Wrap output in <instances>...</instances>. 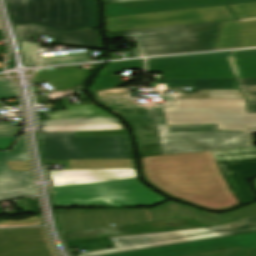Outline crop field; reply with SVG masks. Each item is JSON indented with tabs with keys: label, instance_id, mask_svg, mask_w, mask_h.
<instances>
[{
	"label": "crop field",
	"instance_id": "obj_1",
	"mask_svg": "<svg viewBox=\"0 0 256 256\" xmlns=\"http://www.w3.org/2000/svg\"><path fill=\"white\" fill-rule=\"evenodd\" d=\"M161 83L192 90L163 95L165 103L143 105H134L123 88L93 93L129 120L141 156L253 146L256 78L159 80L148 87Z\"/></svg>",
	"mask_w": 256,
	"mask_h": 256
},
{
	"label": "crop field",
	"instance_id": "obj_2",
	"mask_svg": "<svg viewBox=\"0 0 256 256\" xmlns=\"http://www.w3.org/2000/svg\"><path fill=\"white\" fill-rule=\"evenodd\" d=\"M217 164L210 151L142 157L143 174L155 187L175 198L224 210L239 202Z\"/></svg>",
	"mask_w": 256,
	"mask_h": 256
},
{
	"label": "crop field",
	"instance_id": "obj_3",
	"mask_svg": "<svg viewBox=\"0 0 256 256\" xmlns=\"http://www.w3.org/2000/svg\"><path fill=\"white\" fill-rule=\"evenodd\" d=\"M256 214V203L224 214H210L190 206L169 202L158 208L136 210H58L60 232L188 217L208 226Z\"/></svg>",
	"mask_w": 256,
	"mask_h": 256
},
{
	"label": "crop field",
	"instance_id": "obj_4",
	"mask_svg": "<svg viewBox=\"0 0 256 256\" xmlns=\"http://www.w3.org/2000/svg\"><path fill=\"white\" fill-rule=\"evenodd\" d=\"M52 199L59 207L153 206L164 199L138 179L53 188Z\"/></svg>",
	"mask_w": 256,
	"mask_h": 256
},
{
	"label": "crop field",
	"instance_id": "obj_5",
	"mask_svg": "<svg viewBox=\"0 0 256 256\" xmlns=\"http://www.w3.org/2000/svg\"><path fill=\"white\" fill-rule=\"evenodd\" d=\"M222 22L107 33L109 38L133 36L143 56L213 50Z\"/></svg>",
	"mask_w": 256,
	"mask_h": 256
},
{
	"label": "crop field",
	"instance_id": "obj_6",
	"mask_svg": "<svg viewBox=\"0 0 256 256\" xmlns=\"http://www.w3.org/2000/svg\"><path fill=\"white\" fill-rule=\"evenodd\" d=\"M38 135L44 160L132 158L127 136L75 137V132Z\"/></svg>",
	"mask_w": 256,
	"mask_h": 256
},
{
	"label": "crop field",
	"instance_id": "obj_7",
	"mask_svg": "<svg viewBox=\"0 0 256 256\" xmlns=\"http://www.w3.org/2000/svg\"><path fill=\"white\" fill-rule=\"evenodd\" d=\"M250 232H256V216L210 228L113 237L110 240H116L113 242L116 248L82 252L78 256H102Z\"/></svg>",
	"mask_w": 256,
	"mask_h": 256
},
{
	"label": "crop field",
	"instance_id": "obj_8",
	"mask_svg": "<svg viewBox=\"0 0 256 256\" xmlns=\"http://www.w3.org/2000/svg\"><path fill=\"white\" fill-rule=\"evenodd\" d=\"M15 25L37 23L58 30L72 31L94 26V0H34V8L8 7Z\"/></svg>",
	"mask_w": 256,
	"mask_h": 256
},
{
	"label": "crop field",
	"instance_id": "obj_9",
	"mask_svg": "<svg viewBox=\"0 0 256 256\" xmlns=\"http://www.w3.org/2000/svg\"><path fill=\"white\" fill-rule=\"evenodd\" d=\"M147 67L163 79L235 78L226 52L148 59Z\"/></svg>",
	"mask_w": 256,
	"mask_h": 256
},
{
	"label": "crop field",
	"instance_id": "obj_10",
	"mask_svg": "<svg viewBox=\"0 0 256 256\" xmlns=\"http://www.w3.org/2000/svg\"><path fill=\"white\" fill-rule=\"evenodd\" d=\"M235 17L225 7L182 10L105 19L107 32L178 26L232 20Z\"/></svg>",
	"mask_w": 256,
	"mask_h": 256
},
{
	"label": "crop field",
	"instance_id": "obj_11",
	"mask_svg": "<svg viewBox=\"0 0 256 256\" xmlns=\"http://www.w3.org/2000/svg\"><path fill=\"white\" fill-rule=\"evenodd\" d=\"M22 129L12 127V122H0V138L16 137ZM5 161H29L24 136L10 152H0V201L34 195L32 172H11Z\"/></svg>",
	"mask_w": 256,
	"mask_h": 256
},
{
	"label": "crop field",
	"instance_id": "obj_12",
	"mask_svg": "<svg viewBox=\"0 0 256 256\" xmlns=\"http://www.w3.org/2000/svg\"><path fill=\"white\" fill-rule=\"evenodd\" d=\"M242 203L253 200V192L247 185L251 175L256 174V147L211 151Z\"/></svg>",
	"mask_w": 256,
	"mask_h": 256
},
{
	"label": "crop field",
	"instance_id": "obj_13",
	"mask_svg": "<svg viewBox=\"0 0 256 256\" xmlns=\"http://www.w3.org/2000/svg\"><path fill=\"white\" fill-rule=\"evenodd\" d=\"M235 247L256 250V233L189 242L107 256H182Z\"/></svg>",
	"mask_w": 256,
	"mask_h": 256
},
{
	"label": "crop field",
	"instance_id": "obj_14",
	"mask_svg": "<svg viewBox=\"0 0 256 256\" xmlns=\"http://www.w3.org/2000/svg\"><path fill=\"white\" fill-rule=\"evenodd\" d=\"M202 227H208V226L198 223L196 221L190 220L188 218H182V219L152 222V223H142V224L122 225V226H116V227L71 231V232L61 233V235L64 241H70V240L96 238V237H104V236L177 230V229H187V228H202Z\"/></svg>",
	"mask_w": 256,
	"mask_h": 256
},
{
	"label": "crop field",
	"instance_id": "obj_15",
	"mask_svg": "<svg viewBox=\"0 0 256 256\" xmlns=\"http://www.w3.org/2000/svg\"><path fill=\"white\" fill-rule=\"evenodd\" d=\"M256 2V0H153V2L110 7L105 5L106 18L192 9L201 7L232 5Z\"/></svg>",
	"mask_w": 256,
	"mask_h": 256
},
{
	"label": "crop field",
	"instance_id": "obj_16",
	"mask_svg": "<svg viewBox=\"0 0 256 256\" xmlns=\"http://www.w3.org/2000/svg\"><path fill=\"white\" fill-rule=\"evenodd\" d=\"M19 40L30 41L32 35L53 36V44L99 49L97 31L90 28L77 32H59L32 24L17 26Z\"/></svg>",
	"mask_w": 256,
	"mask_h": 256
},
{
	"label": "crop field",
	"instance_id": "obj_17",
	"mask_svg": "<svg viewBox=\"0 0 256 256\" xmlns=\"http://www.w3.org/2000/svg\"><path fill=\"white\" fill-rule=\"evenodd\" d=\"M52 187L137 178L136 169L49 171Z\"/></svg>",
	"mask_w": 256,
	"mask_h": 256
},
{
	"label": "crop field",
	"instance_id": "obj_18",
	"mask_svg": "<svg viewBox=\"0 0 256 256\" xmlns=\"http://www.w3.org/2000/svg\"><path fill=\"white\" fill-rule=\"evenodd\" d=\"M256 47V21L238 20L222 23L218 41L214 50Z\"/></svg>",
	"mask_w": 256,
	"mask_h": 256
},
{
	"label": "crop field",
	"instance_id": "obj_19",
	"mask_svg": "<svg viewBox=\"0 0 256 256\" xmlns=\"http://www.w3.org/2000/svg\"><path fill=\"white\" fill-rule=\"evenodd\" d=\"M91 70L46 69L38 70L33 83L46 80L56 90L80 86L89 76Z\"/></svg>",
	"mask_w": 256,
	"mask_h": 256
},
{
	"label": "crop field",
	"instance_id": "obj_20",
	"mask_svg": "<svg viewBox=\"0 0 256 256\" xmlns=\"http://www.w3.org/2000/svg\"><path fill=\"white\" fill-rule=\"evenodd\" d=\"M122 68L144 69V60L107 63L90 88L91 92L117 87V76L114 74Z\"/></svg>",
	"mask_w": 256,
	"mask_h": 256
},
{
	"label": "crop field",
	"instance_id": "obj_21",
	"mask_svg": "<svg viewBox=\"0 0 256 256\" xmlns=\"http://www.w3.org/2000/svg\"><path fill=\"white\" fill-rule=\"evenodd\" d=\"M235 77H256V49L227 52Z\"/></svg>",
	"mask_w": 256,
	"mask_h": 256
},
{
	"label": "crop field",
	"instance_id": "obj_22",
	"mask_svg": "<svg viewBox=\"0 0 256 256\" xmlns=\"http://www.w3.org/2000/svg\"><path fill=\"white\" fill-rule=\"evenodd\" d=\"M70 170L134 168L132 159L69 161Z\"/></svg>",
	"mask_w": 256,
	"mask_h": 256
},
{
	"label": "crop field",
	"instance_id": "obj_23",
	"mask_svg": "<svg viewBox=\"0 0 256 256\" xmlns=\"http://www.w3.org/2000/svg\"><path fill=\"white\" fill-rule=\"evenodd\" d=\"M70 119L113 117L94 105L67 106L62 100Z\"/></svg>",
	"mask_w": 256,
	"mask_h": 256
},
{
	"label": "crop field",
	"instance_id": "obj_24",
	"mask_svg": "<svg viewBox=\"0 0 256 256\" xmlns=\"http://www.w3.org/2000/svg\"><path fill=\"white\" fill-rule=\"evenodd\" d=\"M40 127L121 123L117 118L39 121Z\"/></svg>",
	"mask_w": 256,
	"mask_h": 256
},
{
	"label": "crop field",
	"instance_id": "obj_25",
	"mask_svg": "<svg viewBox=\"0 0 256 256\" xmlns=\"http://www.w3.org/2000/svg\"><path fill=\"white\" fill-rule=\"evenodd\" d=\"M124 129L122 124L41 128L42 132Z\"/></svg>",
	"mask_w": 256,
	"mask_h": 256
},
{
	"label": "crop field",
	"instance_id": "obj_26",
	"mask_svg": "<svg viewBox=\"0 0 256 256\" xmlns=\"http://www.w3.org/2000/svg\"><path fill=\"white\" fill-rule=\"evenodd\" d=\"M41 60L42 66L90 61L88 55L82 54L41 57Z\"/></svg>",
	"mask_w": 256,
	"mask_h": 256
},
{
	"label": "crop field",
	"instance_id": "obj_27",
	"mask_svg": "<svg viewBox=\"0 0 256 256\" xmlns=\"http://www.w3.org/2000/svg\"><path fill=\"white\" fill-rule=\"evenodd\" d=\"M238 19L256 17V3L229 6Z\"/></svg>",
	"mask_w": 256,
	"mask_h": 256
},
{
	"label": "crop field",
	"instance_id": "obj_28",
	"mask_svg": "<svg viewBox=\"0 0 256 256\" xmlns=\"http://www.w3.org/2000/svg\"><path fill=\"white\" fill-rule=\"evenodd\" d=\"M21 42L24 57H25V63L28 67H36L38 66L37 62V44L34 43H27V42Z\"/></svg>",
	"mask_w": 256,
	"mask_h": 256
},
{
	"label": "crop field",
	"instance_id": "obj_29",
	"mask_svg": "<svg viewBox=\"0 0 256 256\" xmlns=\"http://www.w3.org/2000/svg\"><path fill=\"white\" fill-rule=\"evenodd\" d=\"M191 256H256V251L245 250L241 248L217 251L212 253L191 255Z\"/></svg>",
	"mask_w": 256,
	"mask_h": 256
},
{
	"label": "crop field",
	"instance_id": "obj_30",
	"mask_svg": "<svg viewBox=\"0 0 256 256\" xmlns=\"http://www.w3.org/2000/svg\"><path fill=\"white\" fill-rule=\"evenodd\" d=\"M18 96L15 86L7 79H0V98Z\"/></svg>",
	"mask_w": 256,
	"mask_h": 256
},
{
	"label": "crop field",
	"instance_id": "obj_31",
	"mask_svg": "<svg viewBox=\"0 0 256 256\" xmlns=\"http://www.w3.org/2000/svg\"><path fill=\"white\" fill-rule=\"evenodd\" d=\"M34 225H42L39 216L32 217L24 221H18V222L0 221V228L1 227L34 226Z\"/></svg>",
	"mask_w": 256,
	"mask_h": 256
},
{
	"label": "crop field",
	"instance_id": "obj_32",
	"mask_svg": "<svg viewBox=\"0 0 256 256\" xmlns=\"http://www.w3.org/2000/svg\"><path fill=\"white\" fill-rule=\"evenodd\" d=\"M76 136L127 135L125 130L76 132Z\"/></svg>",
	"mask_w": 256,
	"mask_h": 256
},
{
	"label": "crop field",
	"instance_id": "obj_33",
	"mask_svg": "<svg viewBox=\"0 0 256 256\" xmlns=\"http://www.w3.org/2000/svg\"><path fill=\"white\" fill-rule=\"evenodd\" d=\"M12 171L30 170L29 162H7Z\"/></svg>",
	"mask_w": 256,
	"mask_h": 256
},
{
	"label": "crop field",
	"instance_id": "obj_34",
	"mask_svg": "<svg viewBox=\"0 0 256 256\" xmlns=\"http://www.w3.org/2000/svg\"><path fill=\"white\" fill-rule=\"evenodd\" d=\"M8 6L33 7V0H7Z\"/></svg>",
	"mask_w": 256,
	"mask_h": 256
},
{
	"label": "crop field",
	"instance_id": "obj_35",
	"mask_svg": "<svg viewBox=\"0 0 256 256\" xmlns=\"http://www.w3.org/2000/svg\"><path fill=\"white\" fill-rule=\"evenodd\" d=\"M16 138L0 139V150L9 149Z\"/></svg>",
	"mask_w": 256,
	"mask_h": 256
},
{
	"label": "crop field",
	"instance_id": "obj_36",
	"mask_svg": "<svg viewBox=\"0 0 256 256\" xmlns=\"http://www.w3.org/2000/svg\"><path fill=\"white\" fill-rule=\"evenodd\" d=\"M152 0H144V1H134V2H124V3H114V4H109L111 6H116V5H124V4H132V3H140V2H148Z\"/></svg>",
	"mask_w": 256,
	"mask_h": 256
},
{
	"label": "crop field",
	"instance_id": "obj_37",
	"mask_svg": "<svg viewBox=\"0 0 256 256\" xmlns=\"http://www.w3.org/2000/svg\"><path fill=\"white\" fill-rule=\"evenodd\" d=\"M124 1H134V0H104L106 3H114V2H124Z\"/></svg>",
	"mask_w": 256,
	"mask_h": 256
},
{
	"label": "crop field",
	"instance_id": "obj_38",
	"mask_svg": "<svg viewBox=\"0 0 256 256\" xmlns=\"http://www.w3.org/2000/svg\"><path fill=\"white\" fill-rule=\"evenodd\" d=\"M131 52H132V54H133L134 57H140V55H139L137 49H133V50H131Z\"/></svg>",
	"mask_w": 256,
	"mask_h": 256
},
{
	"label": "crop field",
	"instance_id": "obj_39",
	"mask_svg": "<svg viewBox=\"0 0 256 256\" xmlns=\"http://www.w3.org/2000/svg\"><path fill=\"white\" fill-rule=\"evenodd\" d=\"M253 20H256V18H252V19H243V20H239V21L241 22V21H253Z\"/></svg>",
	"mask_w": 256,
	"mask_h": 256
}]
</instances>
